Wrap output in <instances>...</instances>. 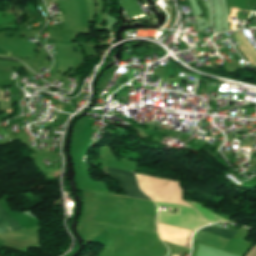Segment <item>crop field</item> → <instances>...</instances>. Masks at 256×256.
<instances>
[{
  "mask_svg": "<svg viewBox=\"0 0 256 256\" xmlns=\"http://www.w3.org/2000/svg\"><path fill=\"white\" fill-rule=\"evenodd\" d=\"M103 171L115 179L121 190L128 198L149 200L138 188L134 174L109 167H102Z\"/></svg>",
  "mask_w": 256,
  "mask_h": 256,
  "instance_id": "8a807250",
  "label": "crop field"
},
{
  "mask_svg": "<svg viewBox=\"0 0 256 256\" xmlns=\"http://www.w3.org/2000/svg\"><path fill=\"white\" fill-rule=\"evenodd\" d=\"M20 227L21 225L0 204V233Z\"/></svg>",
  "mask_w": 256,
  "mask_h": 256,
  "instance_id": "ac0d7876",
  "label": "crop field"
},
{
  "mask_svg": "<svg viewBox=\"0 0 256 256\" xmlns=\"http://www.w3.org/2000/svg\"><path fill=\"white\" fill-rule=\"evenodd\" d=\"M202 231L214 233V234L224 236V237H227L230 239H232L236 233V231H233V230L219 229V228H215V227H211V226H207L206 228L202 229Z\"/></svg>",
  "mask_w": 256,
  "mask_h": 256,
  "instance_id": "34b2d1b8",
  "label": "crop field"
},
{
  "mask_svg": "<svg viewBox=\"0 0 256 256\" xmlns=\"http://www.w3.org/2000/svg\"><path fill=\"white\" fill-rule=\"evenodd\" d=\"M246 256H256V246H253Z\"/></svg>",
  "mask_w": 256,
  "mask_h": 256,
  "instance_id": "412701ff",
  "label": "crop field"
}]
</instances>
